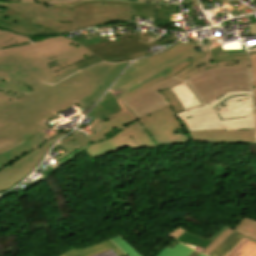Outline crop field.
<instances>
[{"instance_id": "0bd39190", "label": "crop field", "mask_w": 256, "mask_h": 256, "mask_svg": "<svg viewBox=\"0 0 256 256\" xmlns=\"http://www.w3.org/2000/svg\"><path fill=\"white\" fill-rule=\"evenodd\" d=\"M199 256H203V255L200 254Z\"/></svg>"}, {"instance_id": "d32e631a", "label": "crop field", "mask_w": 256, "mask_h": 256, "mask_svg": "<svg viewBox=\"0 0 256 256\" xmlns=\"http://www.w3.org/2000/svg\"><path fill=\"white\" fill-rule=\"evenodd\" d=\"M236 2H238V0H232V1L228 2V3H229L230 5H232V4L236 3Z\"/></svg>"}, {"instance_id": "eef30255", "label": "crop field", "mask_w": 256, "mask_h": 256, "mask_svg": "<svg viewBox=\"0 0 256 256\" xmlns=\"http://www.w3.org/2000/svg\"><path fill=\"white\" fill-rule=\"evenodd\" d=\"M163 95L168 99L170 104L174 107V109L178 111H183L182 108L180 107L179 103L175 99V97L172 95V93L168 90L162 91Z\"/></svg>"}, {"instance_id": "d9b57169", "label": "crop field", "mask_w": 256, "mask_h": 256, "mask_svg": "<svg viewBox=\"0 0 256 256\" xmlns=\"http://www.w3.org/2000/svg\"><path fill=\"white\" fill-rule=\"evenodd\" d=\"M170 90L174 94L178 102L180 103L183 110L201 106L200 102L193 95L189 87L186 85L185 81L170 88Z\"/></svg>"}, {"instance_id": "a9b5d70f", "label": "crop field", "mask_w": 256, "mask_h": 256, "mask_svg": "<svg viewBox=\"0 0 256 256\" xmlns=\"http://www.w3.org/2000/svg\"><path fill=\"white\" fill-rule=\"evenodd\" d=\"M125 254L128 256H142L138 253L132 245L122 236L111 239Z\"/></svg>"}, {"instance_id": "214f88e0", "label": "crop field", "mask_w": 256, "mask_h": 256, "mask_svg": "<svg viewBox=\"0 0 256 256\" xmlns=\"http://www.w3.org/2000/svg\"><path fill=\"white\" fill-rule=\"evenodd\" d=\"M27 42H32L29 37L16 35L0 29V48L10 47Z\"/></svg>"}, {"instance_id": "00972430", "label": "crop field", "mask_w": 256, "mask_h": 256, "mask_svg": "<svg viewBox=\"0 0 256 256\" xmlns=\"http://www.w3.org/2000/svg\"><path fill=\"white\" fill-rule=\"evenodd\" d=\"M194 250L181 245L180 243L176 245L174 248L170 249L166 247L162 252H160L157 256H188Z\"/></svg>"}, {"instance_id": "d3111659", "label": "crop field", "mask_w": 256, "mask_h": 256, "mask_svg": "<svg viewBox=\"0 0 256 256\" xmlns=\"http://www.w3.org/2000/svg\"><path fill=\"white\" fill-rule=\"evenodd\" d=\"M226 1H230V0H220L221 3H224L226 5H228L226 3ZM228 7H230L231 9L228 10L233 16H239V15H243L240 11L236 10L235 8L231 7L230 5H228Z\"/></svg>"}, {"instance_id": "bc2a9ffb", "label": "crop field", "mask_w": 256, "mask_h": 256, "mask_svg": "<svg viewBox=\"0 0 256 256\" xmlns=\"http://www.w3.org/2000/svg\"><path fill=\"white\" fill-rule=\"evenodd\" d=\"M242 239V236L233 232L208 256H226Z\"/></svg>"}, {"instance_id": "cbeb9de0", "label": "crop field", "mask_w": 256, "mask_h": 256, "mask_svg": "<svg viewBox=\"0 0 256 256\" xmlns=\"http://www.w3.org/2000/svg\"><path fill=\"white\" fill-rule=\"evenodd\" d=\"M58 146L66 151L56 158L58 165H62L84 150L86 146V136L75 130L72 134L57 143L52 150Z\"/></svg>"}, {"instance_id": "412701ff", "label": "crop field", "mask_w": 256, "mask_h": 256, "mask_svg": "<svg viewBox=\"0 0 256 256\" xmlns=\"http://www.w3.org/2000/svg\"><path fill=\"white\" fill-rule=\"evenodd\" d=\"M41 125L4 115L0 119V191L24 179L62 133L48 142Z\"/></svg>"}, {"instance_id": "8a807250", "label": "crop field", "mask_w": 256, "mask_h": 256, "mask_svg": "<svg viewBox=\"0 0 256 256\" xmlns=\"http://www.w3.org/2000/svg\"><path fill=\"white\" fill-rule=\"evenodd\" d=\"M86 49L61 36L1 49L0 98L54 114L78 103L85 115L129 63L96 64L101 60L94 56L53 72L93 55ZM76 71L54 86L40 82L54 84Z\"/></svg>"}, {"instance_id": "e1f06a70", "label": "crop field", "mask_w": 256, "mask_h": 256, "mask_svg": "<svg viewBox=\"0 0 256 256\" xmlns=\"http://www.w3.org/2000/svg\"><path fill=\"white\" fill-rule=\"evenodd\" d=\"M250 50H254V51H256V47H255L254 49H250Z\"/></svg>"}, {"instance_id": "34b2d1b8", "label": "crop field", "mask_w": 256, "mask_h": 256, "mask_svg": "<svg viewBox=\"0 0 256 256\" xmlns=\"http://www.w3.org/2000/svg\"><path fill=\"white\" fill-rule=\"evenodd\" d=\"M51 6L47 8L35 0H0V8L8 7L34 17V25L64 33L114 21H129L132 16L154 17L155 11L179 12L177 5L105 0L53 3Z\"/></svg>"}, {"instance_id": "5866460e", "label": "crop field", "mask_w": 256, "mask_h": 256, "mask_svg": "<svg viewBox=\"0 0 256 256\" xmlns=\"http://www.w3.org/2000/svg\"><path fill=\"white\" fill-rule=\"evenodd\" d=\"M177 243H178V242L175 241V242H173L172 244H170V245H168V246L172 248V247L175 246Z\"/></svg>"}, {"instance_id": "bd1437ed", "label": "crop field", "mask_w": 256, "mask_h": 256, "mask_svg": "<svg viewBox=\"0 0 256 256\" xmlns=\"http://www.w3.org/2000/svg\"><path fill=\"white\" fill-rule=\"evenodd\" d=\"M141 2H165L164 0H138Z\"/></svg>"}, {"instance_id": "22f410ed", "label": "crop field", "mask_w": 256, "mask_h": 256, "mask_svg": "<svg viewBox=\"0 0 256 256\" xmlns=\"http://www.w3.org/2000/svg\"><path fill=\"white\" fill-rule=\"evenodd\" d=\"M220 119L253 116V96H238L227 99L214 108Z\"/></svg>"}, {"instance_id": "3316defc", "label": "crop field", "mask_w": 256, "mask_h": 256, "mask_svg": "<svg viewBox=\"0 0 256 256\" xmlns=\"http://www.w3.org/2000/svg\"><path fill=\"white\" fill-rule=\"evenodd\" d=\"M192 143L254 144L253 130L188 132Z\"/></svg>"}, {"instance_id": "1d83c4d3", "label": "crop field", "mask_w": 256, "mask_h": 256, "mask_svg": "<svg viewBox=\"0 0 256 256\" xmlns=\"http://www.w3.org/2000/svg\"><path fill=\"white\" fill-rule=\"evenodd\" d=\"M42 2H53V1H70V0H38Z\"/></svg>"}, {"instance_id": "e52e79f7", "label": "crop field", "mask_w": 256, "mask_h": 256, "mask_svg": "<svg viewBox=\"0 0 256 256\" xmlns=\"http://www.w3.org/2000/svg\"><path fill=\"white\" fill-rule=\"evenodd\" d=\"M181 81L183 80L174 75L165 81L155 83L154 86L143 89L120 102L126 105L134 113L136 118L140 119L145 115H149L170 105L167 99L159 93V91L165 90Z\"/></svg>"}, {"instance_id": "5a996713", "label": "crop field", "mask_w": 256, "mask_h": 256, "mask_svg": "<svg viewBox=\"0 0 256 256\" xmlns=\"http://www.w3.org/2000/svg\"><path fill=\"white\" fill-rule=\"evenodd\" d=\"M187 131L211 129H253V117L220 120L217 113L180 120Z\"/></svg>"}, {"instance_id": "dd49c442", "label": "crop field", "mask_w": 256, "mask_h": 256, "mask_svg": "<svg viewBox=\"0 0 256 256\" xmlns=\"http://www.w3.org/2000/svg\"><path fill=\"white\" fill-rule=\"evenodd\" d=\"M195 43L206 56L190 61L191 65L175 74L183 80L211 68L223 66L250 69L246 50L222 51V48L218 46L220 44L216 41L203 46L200 45L199 41Z\"/></svg>"}, {"instance_id": "028f5c9d", "label": "crop field", "mask_w": 256, "mask_h": 256, "mask_svg": "<svg viewBox=\"0 0 256 256\" xmlns=\"http://www.w3.org/2000/svg\"><path fill=\"white\" fill-rule=\"evenodd\" d=\"M4 11V9H0V14Z\"/></svg>"}, {"instance_id": "28ad6ade", "label": "crop field", "mask_w": 256, "mask_h": 256, "mask_svg": "<svg viewBox=\"0 0 256 256\" xmlns=\"http://www.w3.org/2000/svg\"><path fill=\"white\" fill-rule=\"evenodd\" d=\"M33 21L34 18L16 13L8 8L0 15V26L19 34L27 36L63 34L60 32L33 26Z\"/></svg>"}, {"instance_id": "ae1a2a85", "label": "crop field", "mask_w": 256, "mask_h": 256, "mask_svg": "<svg viewBox=\"0 0 256 256\" xmlns=\"http://www.w3.org/2000/svg\"><path fill=\"white\" fill-rule=\"evenodd\" d=\"M249 242L247 239H243L227 256H238L241 249Z\"/></svg>"}, {"instance_id": "730fd06b", "label": "crop field", "mask_w": 256, "mask_h": 256, "mask_svg": "<svg viewBox=\"0 0 256 256\" xmlns=\"http://www.w3.org/2000/svg\"><path fill=\"white\" fill-rule=\"evenodd\" d=\"M241 252L239 256H256V243L250 241Z\"/></svg>"}, {"instance_id": "92a150f3", "label": "crop field", "mask_w": 256, "mask_h": 256, "mask_svg": "<svg viewBox=\"0 0 256 256\" xmlns=\"http://www.w3.org/2000/svg\"><path fill=\"white\" fill-rule=\"evenodd\" d=\"M238 233L256 241V221L253 219L244 218L235 228Z\"/></svg>"}, {"instance_id": "d8731c3e", "label": "crop field", "mask_w": 256, "mask_h": 256, "mask_svg": "<svg viewBox=\"0 0 256 256\" xmlns=\"http://www.w3.org/2000/svg\"><path fill=\"white\" fill-rule=\"evenodd\" d=\"M118 40L87 46L99 58L107 62H121L129 60L126 54L144 50L166 43L168 38L157 40L148 44L138 42L139 33L117 37Z\"/></svg>"}, {"instance_id": "733c2abd", "label": "crop field", "mask_w": 256, "mask_h": 256, "mask_svg": "<svg viewBox=\"0 0 256 256\" xmlns=\"http://www.w3.org/2000/svg\"><path fill=\"white\" fill-rule=\"evenodd\" d=\"M237 95H252V93H249V92L227 93V94H224L222 97L216 99L215 101H213L205 106H202L200 108L191 109L188 111L175 113V115L177 116L178 119H182V118L195 117V116L215 112V110L213 109L214 107H216L217 105H219L220 103L225 101L227 98L232 97V96H237Z\"/></svg>"}, {"instance_id": "f4fd0767", "label": "crop field", "mask_w": 256, "mask_h": 256, "mask_svg": "<svg viewBox=\"0 0 256 256\" xmlns=\"http://www.w3.org/2000/svg\"><path fill=\"white\" fill-rule=\"evenodd\" d=\"M185 81L202 105L230 91L252 92L250 70L236 67L212 69Z\"/></svg>"}, {"instance_id": "ac0d7876", "label": "crop field", "mask_w": 256, "mask_h": 256, "mask_svg": "<svg viewBox=\"0 0 256 256\" xmlns=\"http://www.w3.org/2000/svg\"><path fill=\"white\" fill-rule=\"evenodd\" d=\"M204 56L193 41L185 46L180 42L169 50L138 60L126 71L109 91L123 111L98 120L107 128L89 138L97 142L84 151L90 159L128 146L130 149L152 148L173 142L190 141L188 136L174 135L185 129L169 107L140 120L119 101L152 83L162 81L191 64L189 61Z\"/></svg>"}, {"instance_id": "4177f3b9", "label": "crop field", "mask_w": 256, "mask_h": 256, "mask_svg": "<svg viewBox=\"0 0 256 256\" xmlns=\"http://www.w3.org/2000/svg\"><path fill=\"white\" fill-rule=\"evenodd\" d=\"M249 57L251 61L254 99H255V105H256V52H249ZM255 135H256V109H255Z\"/></svg>"}, {"instance_id": "d1516ede", "label": "crop field", "mask_w": 256, "mask_h": 256, "mask_svg": "<svg viewBox=\"0 0 256 256\" xmlns=\"http://www.w3.org/2000/svg\"><path fill=\"white\" fill-rule=\"evenodd\" d=\"M4 114L22 120L36 122L49 129L44 123L54 114L37 110L28 106L0 99V117Z\"/></svg>"}, {"instance_id": "120bbe31", "label": "crop field", "mask_w": 256, "mask_h": 256, "mask_svg": "<svg viewBox=\"0 0 256 256\" xmlns=\"http://www.w3.org/2000/svg\"><path fill=\"white\" fill-rule=\"evenodd\" d=\"M199 255V253H197V252H193L192 254H190L189 256H198Z\"/></svg>"}, {"instance_id": "750c4746", "label": "crop field", "mask_w": 256, "mask_h": 256, "mask_svg": "<svg viewBox=\"0 0 256 256\" xmlns=\"http://www.w3.org/2000/svg\"><path fill=\"white\" fill-rule=\"evenodd\" d=\"M184 4L192 3L193 6L198 5L196 0H183Z\"/></svg>"}, {"instance_id": "dafd665d", "label": "crop field", "mask_w": 256, "mask_h": 256, "mask_svg": "<svg viewBox=\"0 0 256 256\" xmlns=\"http://www.w3.org/2000/svg\"><path fill=\"white\" fill-rule=\"evenodd\" d=\"M232 232L233 231L224 226L221 230H219L217 233H215L212 237L209 238L213 242L204 251H202V253L206 255L211 253Z\"/></svg>"}, {"instance_id": "5142ce71", "label": "crop field", "mask_w": 256, "mask_h": 256, "mask_svg": "<svg viewBox=\"0 0 256 256\" xmlns=\"http://www.w3.org/2000/svg\"><path fill=\"white\" fill-rule=\"evenodd\" d=\"M112 249L118 256H125L115 245L109 240L87 246L82 249H76L75 247L58 255V256H90L99 252Z\"/></svg>"}, {"instance_id": "4a817a6b", "label": "crop field", "mask_w": 256, "mask_h": 256, "mask_svg": "<svg viewBox=\"0 0 256 256\" xmlns=\"http://www.w3.org/2000/svg\"><path fill=\"white\" fill-rule=\"evenodd\" d=\"M176 240L192 247L193 249L201 252L203 249H205L212 241L207 240L205 238L199 237L197 235H194L188 231L183 233L179 238Z\"/></svg>"}]
</instances>
